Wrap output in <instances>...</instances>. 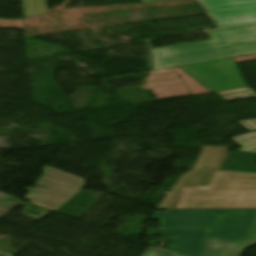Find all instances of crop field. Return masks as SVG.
Masks as SVG:
<instances>
[{"mask_svg":"<svg viewBox=\"0 0 256 256\" xmlns=\"http://www.w3.org/2000/svg\"><path fill=\"white\" fill-rule=\"evenodd\" d=\"M207 229H149L147 235H170L166 250L184 255L200 256Z\"/></svg>","mask_w":256,"mask_h":256,"instance_id":"7","label":"crop field"},{"mask_svg":"<svg viewBox=\"0 0 256 256\" xmlns=\"http://www.w3.org/2000/svg\"><path fill=\"white\" fill-rule=\"evenodd\" d=\"M215 94L225 101L256 97V93L249 87L216 92Z\"/></svg>","mask_w":256,"mask_h":256,"instance_id":"12","label":"crop field"},{"mask_svg":"<svg viewBox=\"0 0 256 256\" xmlns=\"http://www.w3.org/2000/svg\"><path fill=\"white\" fill-rule=\"evenodd\" d=\"M142 256H177L168 252H165L163 250L150 247L147 251H145Z\"/></svg>","mask_w":256,"mask_h":256,"instance_id":"15","label":"crop field"},{"mask_svg":"<svg viewBox=\"0 0 256 256\" xmlns=\"http://www.w3.org/2000/svg\"><path fill=\"white\" fill-rule=\"evenodd\" d=\"M256 211H167L154 212L161 228H207L208 237L238 243L249 236Z\"/></svg>","mask_w":256,"mask_h":256,"instance_id":"3","label":"crop field"},{"mask_svg":"<svg viewBox=\"0 0 256 256\" xmlns=\"http://www.w3.org/2000/svg\"><path fill=\"white\" fill-rule=\"evenodd\" d=\"M256 243V237L233 244L216 239H209L204 256H241L244 248Z\"/></svg>","mask_w":256,"mask_h":256,"instance_id":"8","label":"crop field"},{"mask_svg":"<svg viewBox=\"0 0 256 256\" xmlns=\"http://www.w3.org/2000/svg\"><path fill=\"white\" fill-rule=\"evenodd\" d=\"M254 236H256V220H255V222H254V225H253V228H252V230H251V233H250L249 238L254 237ZM249 238H248V239H249Z\"/></svg>","mask_w":256,"mask_h":256,"instance_id":"17","label":"crop field"},{"mask_svg":"<svg viewBox=\"0 0 256 256\" xmlns=\"http://www.w3.org/2000/svg\"><path fill=\"white\" fill-rule=\"evenodd\" d=\"M228 148L205 147L195 169L184 176L158 208H175L185 187L208 188Z\"/></svg>","mask_w":256,"mask_h":256,"instance_id":"5","label":"crop field"},{"mask_svg":"<svg viewBox=\"0 0 256 256\" xmlns=\"http://www.w3.org/2000/svg\"><path fill=\"white\" fill-rule=\"evenodd\" d=\"M144 2H151V1H164V0H143Z\"/></svg>","mask_w":256,"mask_h":256,"instance_id":"18","label":"crop field"},{"mask_svg":"<svg viewBox=\"0 0 256 256\" xmlns=\"http://www.w3.org/2000/svg\"><path fill=\"white\" fill-rule=\"evenodd\" d=\"M181 68L213 92L246 87L232 58Z\"/></svg>","mask_w":256,"mask_h":256,"instance_id":"6","label":"crop field"},{"mask_svg":"<svg viewBox=\"0 0 256 256\" xmlns=\"http://www.w3.org/2000/svg\"><path fill=\"white\" fill-rule=\"evenodd\" d=\"M19 205L26 207L22 212L23 215L29 216L37 220L53 212L30 203L20 202Z\"/></svg>","mask_w":256,"mask_h":256,"instance_id":"14","label":"crop field"},{"mask_svg":"<svg viewBox=\"0 0 256 256\" xmlns=\"http://www.w3.org/2000/svg\"><path fill=\"white\" fill-rule=\"evenodd\" d=\"M210 34L213 40L153 49L155 69L256 53V24Z\"/></svg>","mask_w":256,"mask_h":256,"instance_id":"1","label":"crop field"},{"mask_svg":"<svg viewBox=\"0 0 256 256\" xmlns=\"http://www.w3.org/2000/svg\"><path fill=\"white\" fill-rule=\"evenodd\" d=\"M44 172L36 187L25 189L29 191L26 200L33 204L56 211L84 188L83 178L49 166L44 168Z\"/></svg>","mask_w":256,"mask_h":256,"instance_id":"4","label":"crop field"},{"mask_svg":"<svg viewBox=\"0 0 256 256\" xmlns=\"http://www.w3.org/2000/svg\"><path fill=\"white\" fill-rule=\"evenodd\" d=\"M207 14L256 8V0H196Z\"/></svg>","mask_w":256,"mask_h":256,"instance_id":"9","label":"crop field"},{"mask_svg":"<svg viewBox=\"0 0 256 256\" xmlns=\"http://www.w3.org/2000/svg\"><path fill=\"white\" fill-rule=\"evenodd\" d=\"M240 123L243 127H245L250 132L256 130V119L254 120H247V121H240Z\"/></svg>","mask_w":256,"mask_h":256,"instance_id":"16","label":"crop field"},{"mask_svg":"<svg viewBox=\"0 0 256 256\" xmlns=\"http://www.w3.org/2000/svg\"><path fill=\"white\" fill-rule=\"evenodd\" d=\"M243 162L242 168L240 164ZM220 170L256 172V154L228 152Z\"/></svg>","mask_w":256,"mask_h":256,"instance_id":"11","label":"crop field"},{"mask_svg":"<svg viewBox=\"0 0 256 256\" xmlns=\"http://www.w3.org/2000/svg\"><path fill=\"white\" fill-rule=\"evenodd\" d=\"M232 140L242 146L239 151L256 152V133L245 134Z\"/></svg>","mask_w":256,"mask_h":256,"instance_id":"13","label":"crop field"},{"mask_svg":"<svg viewBox=\"0 0 256 256\" xmlns=\"http://www.w3.org/2000/svg\"><path fill=\"white\" fill-rule=\"evenodd\" d=\"M176 208H256V174L217 170L209 189L186 188Z\"/></svg>","mask_w":256,"mask_h":256,"instance_id":"2","label":"crop field"},{"mask_svg":"<svg viewBox=\"0 0 256 256\" xmlns=\"http://www.w3.org/2000/svg\"><path fill=\"white\" fill-rule=\"evenodd\" d=\"M218 28L256 22V9L208 15Z\"/></svg>","mask_w":256,"mask_h":256,"instance_id":"10","label":"crop field"}]
</instances>
